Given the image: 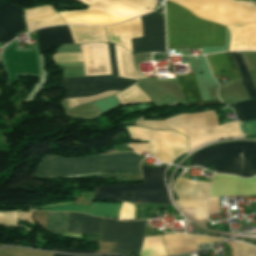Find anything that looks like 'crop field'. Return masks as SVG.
<instances>
[{"label": "crop field", "instance_id": "1", "mask_svg": "<svg viewBox=\"0 0 256 256\" xmlns=\"http://www.w3.org/2000/svg\"><path fill=\"white\" fill-rule=\"evenodd\" d=\"M168 48L213 47L225 44V27L195 17L187 9L166 3Z\"/></svg>", "mask_w": 256, "mask_h": 256}, {"label": "crop field", "instance_id": "2", "mask_svg": "<svg viewBox=\"0 0 256 256\" xmlns=\"http://www.w3.org/2000/svg\"><path fill=\"white\" fill-rule=\"evenodd\" d=\"M139 162L140 156L134 153L92 156L80 159L46 155L32 178L53 179L103 171L141 173L138 166Z\"/></svg>", "mask_w": 256, "mask_h": 256}, {"label": "crop field", "instance_id": "3", "mask_svg": "<svg viewBox=\"0 0 256 256\" xmlns=\"http://www.w3.org/2000/svg\"><path fill=\"white\" fill-rule=\"evenodd\" d=\"M213 164L214 172L252 177L256 175V143L234 142L210 146L195 153L189 161V167L208 169Z\"/></svg>", "mask_w": 256, "mask_h": 256}, {"label": "crop field", "instance_id": "4", "mask_svg": "<svg viewBox=\"0 0 256 256\" xmlns=\"http://www.w3.org/2000/svg\"><path fill=\"white\" fill-rule=\"evenodd\" d=\"M166 167H140L143 184H115L95 187V199L172 205L164 182ZM123 195H133L127 197Z\"/></svg>", "mask_w": 256, "mask_h": 256}, {"label": "crop field", "instance_id": "5", "mask_svg": "<svg viewBox=\"0 0 256 256\" xmlns=\"http://www.w3.org/2000/svg\"><path fill=\"white\" fill-rule=\"evenodd\" d=\"M145 234V221L120 222L103 218L100 241L116 242L113 253L138 255Z\"/></svg>", "mask_w": 256, "mask_h": 256}, {"label": "crop field", "instance_id": "6", "mask_svg": "<svg viewBox=\"0 0 256 256\" xmlns=\"http://www.w3.org/2000/svg\"><path fill=\"white\" fill-rule=\"evenodd\" d=\"M135 82L133 80L132 83L96 81L95 77L61 79V84L66 90L65 98L92 96L109 90L122 91Z\"/></svg>", "mask_w": 256, "mask_h": 256}, {"label": "crop field", "instance_id": "7", "mask_svg": "<svg viewBox=\"0 0 256 256\" xmlns=\"http://www.w3.org/2000/svg\"><path fill=\"white\" fill-rule=\"evenodd\" d=\"M160 15L153 12L141 17L144 38L131 39L133 53L164 52L163 15Z\"/></svg>", "mask_w": 256, "mask_h": 256}, {"label": "crop field", "instance_id": "8", "mask_svg": "<svg viewBox=\"0 0 256 256\" xmlns=\"http://www.w3.org/2000/svg\"><path fill=\"white\" fill-rule=\"evenodd\" d=\"M256 194V177L242 179L234 176H213L209 196H241Z\"/></svg>", "mask_w": 256, "mask_h": 256}, {"label": "crop field", "instance_id": "9", "mask_svg": "<svg viewBox=\"0 0 256 256\" xmlns=\"http://www.w3.org/2000/svg\"><path fill=\"white\" fill-rule=\"evenodd\" d=\"M21 9L0 1V36L17 34L25 30ZM14 38L15 35L0 37V42H10Z\"/></svg>", "mask_w": 256, "mask_h": 256}, {"label": "crop field", "instance_id": "10", "mask_svg": "<svg viewBox=\"0 0 256 256\" xmlns=\"http://www.w3.org/2000/svg\"><path fill=\"white\" fill-rule=\"evenodd\" d=\"M227 29L231 34L229 50H256V24L235 23Z\"/></svg>", "mask_w": 256, "mask_h": 256}, {"label": "crop field", "instance_id": "11", "mask_svg": "<svg viewBox=\"0 0 256 256\" xmlns=\"http://www.w3.org/2000/svg\"><path fill=\"white\" fill-rule=\"evenodd\" d=\"M62 43H74L67 26L48 27L38 30L40 54Z\"/></svg>", "mask_w": 256, "mask_h": 256}, {"label": "crop field", "instance_id": "12", "mask_svg": "<svg viewBox=\"0 0 256 256\" xmlns=\"http://www.w3.org/2000/svg\"><path fill=\"white\" fill-rule=\"evenodd\" d=\"M102 218L69 213L65 232L99 235Z\"/></svg>", "mask_w": 256, "mask_h": 256}, {"label": "crop field", "instance_id": "13", "mask_svg": "<svg viewBox=\"0 0 256 256\" xmlns=\"http://www.w3.org/2000/svg\"><path fill=\"white\" fill-rule=\"evenodd\" d=\"M120 204L112 203H92L91 206L87 205H71L65 207H56L50 209H44L47 211H78L82 213H88L96 216H106L118 219Z\"/></svg>", "mask_w": 256, "mask_h": 256}, {"label": "crop field", "instance_id": "14", "mask_svg": "<svg viewBox=\"0 0 256 256\" xmlns=\"http://www.w3.org/2000/svg\"><path fill=\"white\" fill-rule=\"evenodd\" d=\"M188 106L221 103L220 100L201 101L195 75L175 76ZM222 104V103H221Z\"/></svg>", "mask_w": 256, "mask_h": 256}, {"label": "crop field", "instance_id": "15", "mask_svg": "<svg viewBox=\"0 0 256 256\" xmlns=\"http://www.w3.org/2000/svg\"><path fill=\"white\" fill-rule=\"evenodd\" d=\"M233 106L239 113V121L256 118V100L236 103ZM240 128L244 135H256V119L240 122Z\"/></svg>", "mask_w": 256, "mask_h": 256}, {"label": "crop field", "instance_id": "16", "mask_svg": "<svg viewBox=\"0 0 256 256\" xmlns=\"http://www.w3.org/2000/svg\"><path fill=\"white\" fill-rule=\"evenodd\" d=\"M206 58L212 68L213 75L228 76L229 81L240 78L227 53L207 55Z\"/></svg>", "mask_w": 256, "mask_h": 256}, {"label": "crop field", "instance_id": "17", "mask_svg": "<svg viewBox=\"0 0 256 256\" xmlns=\"http://www.w3.org/2000/svg\"><path fill=\"white\" fill-rule=\"evenodd\" d=\"M139 256H167L162 237H145Z\"/></svg>", "mask_w": 256, "mask_h": 256}, {"label": "crop field", "instance_id": "18", "mask_svg": "<svg viewBox=\"0 0 256 256\" xmlns=\"http://www.w3.org/2000/svg\"><path fill=\"white\" fill-rule=\"evenodd\" d=\"M232 58L234 59L238 69H239V72H240V75L244 81V84H245V87L247 89V92H248V95H249V98L252 99V98H256V90L252 84V81L250 79V76L247 72V69L244 65V62L242 60V57L240 55L239 52H234V53H230Z\"/></svg>", "mask_w": 256, "mask_h": 256}, {"label": "crop field", "instance_id": "19", "mask_svg": "<svg viewBox=\"0 0 256 256\" xmlns=\"http://www.w3.org/2000/svg\"><path fill=\"white\" fill-rule=\"evenodd\" d=\"M135 206L130 203H122L120 209L119 220H131L134 219Z\"/></svg>", "mask_w": 256, "mask_h": 256}, {"label": "crop field", "instance_id": "20", "mask_svg": "<svg viewBox=\"0 0 256 256\" xmlns=\"http://www.w3.org/2000/svg\"><path fill=\"white\" fill-rule=\"evenodd\" d=\"M108 46H109L110 57H111L112 72H113V75L118 76L114 44H108Z\"/></svg>", "mask_w": 256, "mask_h": 256}, {"label": "crop field", "instance_id": "21", "mask_svg": "<svg viewBox=\"0 0 256 256\" xmlns=\"http://www.w3.org/2000/svg\"><path fill=\"white\" fill-rule=\"evenodd\" d=\"M53 250L70 252V253H95V250L58 249V248H54Z\"/></svg>", "mask_w": 256, "mask_h": 256}, {"label": "crop field", "instance_id": "22", "mask_svg": "<svg viewBox=\"0 0 256 256\" xmlns=\"http://www.w3.org/2000/svg\"><path fill=\"white\" fill-rule=\"evenodd\" d=\"M97 80H106V81H128L131 82L130 80L127 79H121L113 76H98L96 77Z\"/></svg>", "mask_w": 256, "mask_h": 256}, {"label": "crop field", "instance_id": "23", "mask_svg": "<svg viewBox=\"0 0 256 256\" xmlns=\"http://www.w3.org/2000/svg\"><path fill=\"white\" fill-rule=\"evenodd\" d=\"M54 256H69V255H60V254H55Z\"/></svg>", "mask_w": 256, "mask_h": 256}, {"label": "crop field", "instance_id": "24", "mask_svg": "<svg viewBox=\"0 0 256 256\" xmlns=\"http://www.w3.org/2000/svg\"><path fill=\"white\" fill-rule=\"evenodd\" d=\"M187 256H189V255H187Z\"/></svg>", "mask_w": 256, "mask_h": 256}]
</instances>
